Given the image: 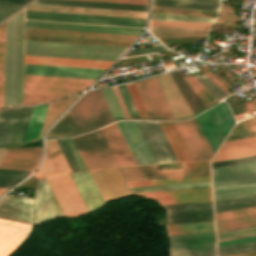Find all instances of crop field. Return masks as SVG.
I'll return each instance as SVG.
<instances>
[{
	"instance_id": "obj_70",
	"label": "crop field",
	"mask_w": 256,
	"mask_h": 256,
	"mask_svg": "<svg viewBox=\"0 0 256 256\" xmlns=\"http://www.w3.org/2000/svg\"><path fill=\"white\" fill-rule=\"evenodd\" d=\"M159 1H173V2H187V3H200V4L219 5V3H216V2H208V1H186V0H159Z\"/></svg>"
},
{
	"instance_id": "obj_81",
	"label": "crop field",
	"mask_w": 256,
	"mask_h": 256,
	"mask_svg": "<svg viewBox=\"0 0 256 256\" xmlns=\"http://www.w3.org/2000/svg\"><path fill=\"white\" fill-rule=\"evenodd\" d=\"M0 194H2V193H0Z\"/></svg>"
},
{
	"instance_id": "obj_67",
	"label": "crop field",
	"mask_w": 256,
	"mask_h": 256,
	"mask_svg": "<svg viewBox=\"0 0 256 256\" xmlns=\"http://www.w3.org/2000/svg\"><path fill=\"white\" fill-rule=\"evenodd\" d=\"M153 6L171 7V8H183V9H195V10H206V11H214V12H218V10H219V9H213V8H199V7H186V6H173V5H159V4H153Z\"/></svg>"
},
{
	"instance_id": "obj_79",
	"label": "crop field",
	"mask_w": 256,
	"mask_h": 256,
	"mask_svg": "<svg viewBox=\"0 0 256 256\" xmlns=\"http://www.w3.org/2000/svg\"><path fill=\"white\" fill-rule=\"evenodd\" d=\"M208 1H216V2H219L220 0H208Z\"/></svg>"
},
{
	"instance_id": "obj_24",
	"label": "crop field",
	"mask_w": 256,
	"mask_h": 256,
	"mask_svg": "<svg viewBox=\"0 0 256 256\" xmlns=\"http://www.w3.org/2000/svg\"><path fill=\"white\" fill-rule=\"evenodd\" d=\"M118 166L136 165L116 123L100 129Z\"/></svg>"
},
{
	"instance_id": "obj_38",
	"label": "crop field",
	"mask_w": 256,
	"mask_h": 256,
	"mask_svg": "<svg viewBox=\"0 0 256 256\" xmlns=\"http://www.w3.org/2000/svg\"><path fill=\"white\" fill-rule=\"evenodd\" d=\"M101 91L104 95V98L106 100V103L109 107V110L111 112L113 119L115 120L117 118H126L114 89L112 88V89L101 90Z\"/></svg>"
},
{
	"instance_id": "obj_58",
	"label": "crop field",
	"mask_w": 256,
	"mask_h": 256,
	"mask_svg": "<svg viewBox=\"0 0 256 256\" xmlns=\"http://www.w3.org/2000/svg\"><path fill=\"white\" fill-rule=\"evenodd\" d=\"M167 50L168 49H166L162 46L142 48V49H134V50H130L124 57L139 55V54H146V53L161 52V51H167Z\"/></svg>"
},
{
	"instance_id": "obj_50",
	"label": "crop field",
	"mask_w": 256,
	"mask_h": 256,
	"mask_svg": "<svg viewBox=\"0 0 256 256\" xmlns=\"http://www.w3.org/2000/svg\"><path fill=\"white\" fill-rule=\"evenodd\" d=\"M170 256H216L215 248L170 252Z\"/></svg>"
},
{
	"instance_id": "obj_13",
	"label": "crop field",
	"mask_w": 256,
	"mask_h": 256,
	"mask_svg": "<svg viewBox=\"0 0 256 256\" xmlns=\"http://www.w3.org/2000/svg\"><path fill=\"white\" fill-rule=\"evenodd\" d=\"M104 203L131 193L118 168L89 171Z\"/></svg>"
},
{
	"instance_id": "obj_7",
	"label": "crop field",
	"mask_w": 256,
	"mask_h": 256,
	"mask_svg": "<svg viewBox=\"0 0 256 256\" xmlns=\"http://www.w3.org/2000/svg\"><path fill=\"white\" fill-rule=\"evenodd\" d=\"M87 169L117 167L100 130L72 138Z\"/></svg>"
},
{
	"instance_id": "obj_66",
	"label": "crop field",
	"mask_w": 256,
	"mask_h": 256,
	"mask_svg": "<svg viewBox=\"0 0 256 256\" xmlns=\"http://www.w3.org/2000/svg\"><path fill=\"white\" fill-rule=\"evenodd\" d=\"M253 240H256V236L242 238V239H236V240H231V241H225V242H219V243H217V247L236 244V243H242V242H248V241H253Z\"/></svg>"
},
{
	"instance_id": "obj_28",
	"label": "crop field",
	"mask_w": 256,
	"mask_h": 256,
	"mask_svg": "<svg viewBox=\"0 0 256 256\" xmlns=\"http://www.w3.org/2000/svg\"><path fill=\"white\" fill-rule=\"evenodd\" d=\"M255 154L256 137L223 143L211 162Z\"/></svg>"
},
{
	"instance_id": "obj_8",
	"label": "crop field",
	"mask_w": 256,
	"mask_h": 256,
	"mask_svg": "<svg viewBox=\"0 0 256 256\" xmlns=\"http://www.w3.org/2000/svg\"><path fill=\"white\" fill-rule=\"evenodd\" d=\"M25 33L86 37V38H100V39H113V40H127V41H133L137 37V36H131V35H117V34H103V33H89V32L47 30V29H33V28H26ZM32 34H25V39L105 44V45H120V46H128L129 44L132 43V42H126V41H112V40L72 38V37L32 35Z\"/></svg>"
},
{
	"instance_id": "obj_32",
	"label": "crop field",
	"mask_w": 256,
	"mask_h": 256,
	"mask_svg": "<svg viewBox=\"0 0 256 256\" xmlns=\"http://www.w3.org/2000/svg\"><path fill=\"white\" fill-rule=\"evenodd\" d=\"M48 104V103H47ZM47 104L35 106L32 108L29 124L27 127L24 143L38 139L40 136ZM23 143V144H24Z\"/></svg>"
},
{
	"instance_id": "obj_51",
	"label": "crop field",
	"mask_w": 256,
	"mask_h": 256,
	"mask_svg": "<svg viewBox=\"0 0 256 256\" xmlns=\"http://www.w3.org/2000/svg\"><path fill=\"white\" fill-rule=\"evenodd\" d=\"M167 211L212 208V202L163 206Z\"/></svg>"
},
{
	"instance_id": "obj_33",
	"label": "crop field",
	"mask_w": 256,
	"mask_h": 256,
	"mask_svg": "<svg viewBox=\"0 0 256 256\" xmlns=\"http://www.w3.org/2000/svg\"><path fill=\"white\" fill-rule=\"evenodd\" d=\"M169 235L214 231L213 221L167 225Z\"/></svg>"
},
{
	"instance_id": "obj_26",
	"label": "crop field",
	"mask_w": 256,
	"mask_h": 256,
	"mask_svg": "<svg viewBox=\"0 0 256 256\" xmlns=\"http://www.w3.org/2000/svg\"><path fill=\"white\" fill-rule=\"evenodd\" d=\"M26 27L139 35L142 29L26 21Z\"/></svg>"
},
{
	"instance_id": "obj_35",
	"label": "crop field",
	"mask_w": 256,
	"mask_h": 256,
	"mask_svg": "<svg viewBox=\"0 0 256 256\" xmlns=\"http://www.w3.org/2000/svg\"><path fill=\"white\" fill-rule=\"evenodd\" d=\"M170 245L215 242L214 232L169 236Z\"/></svg>"
},
{
	"instance_id": "obj_22",
	"label": "crop field",
	"mask_w": 256,
	"mask_h": 256,
	"mask_svg": "<svg viewBox=\"0 0 256 256\" xmlns=\"http://www.w3.org/2000/svg\"><path fill=\"white\" fill-rule=\"evenodd\" d=\"M105 70L24 64V74L97 79Z\"/></svg>"
},
{
	"instance_id": "obj_6",
	"label": "crop field",
	"mask_w": 256,
	"mask_h": 256,
	"mask_svg": "<svg viewBox=\"0 0 256 256\" xmlns=\"http://www.w3.org/2000/svg\"><path fill=\"white\" fill-rule=\"evenodd\" d=\"M70 111L80 132L113 120L100 90L85 94Z\"/></svg>"
},
{
	"instance_id": "obj_1",
	"label": "crop field",
	"mask_w": 256,
	"mask_h": 256,
	"mask_svg": "<svg viewBox=\"0 0 256 256\" xmlns=\"http://www.w3.org/2000/svg\"><path fill=\"white\" fill-rule=\"evenodd\" d=\"M137 165L177 162L158 122L120 121L116 122Z\"/></svg>"
},
{
	"instance_id": "obj_56",
	"label": "crop field",
	"mask_w": 256,
	"mask_h": 256,
	"mask_svg": "<svg viewBox=\"0 0 256 256\" xmlns=\"http://www.w3.org/2000/svg\"><path fill=\"white\" fill-rule=\"evenodd\" d=\"M57 142H58V144H59V146H60V148H61V150H62V152H63V154H64V156H65V158H66V160H67V162H68V164L70 166V168H71V170L72 171H77L78 168H77V166H76V164H75V162H74V160H73V158H72V156H71V154H70V152H69V150H68L64 140L63 139H59V140H57Z\"/></svg>"
},
{
	"instance_id": "obj_16",
	"label": "crop field",
	"mask_w": 256,
	"mask_h": 256,
	"mask_svg": "<svg viewBox=\"0 0 256 256\" xmlns=\"http://www.w3.org/2000/svg\"><path fill=\"white\" fill-rule=\"evenodd\" d=\"M135 85L150 118H173L155 78Z\"/></svg>"
},
{
	"instance_id": "obj_49",
	"label": "crop field",
	"mask_w": 256,
	"mask_h": 256,
	"mask_svg": "<svg viewBox=\"0 0 256 256\" xmlns=\"http://www.w3.org/2000/svg\"><path fill=\"white\" fill-rule=\"evenodd\" d=\"M256 130V117H252L241 122L236 123L230 135L250 132Z\"/></svg>"
},
{
	"instance_id": "obj_2",
	"label": "crop field",
	"mask_w": 256,
	"mask_h": 256,
	"mask_svg": "<svg viewBox=\"0 0 256 256\" xmlns=\"http://www.w3.org/2000/svg\"><path fill=\"white\" fill-rule=\"evenodd\" d=\"M24 10L6 22L4 107L21 105Z\"/></svg>"
},
{
	"instance_id": "obj_73",
	"label": "crop field",
	"mask_w": 256,
	"mask_h": 256,
	"mask_svg": "<svg viewBox=\"0 0 256 256\" xmlns=\"http://www.w3.org/2000/svg\"><path fill=\"white\" fill-rule=\"evenodd\" d=\"M232 256H256V251H254V252H249V253H243V254L232 255Z\"/></svg>"
},
{
	"instance_id": "obj_30",
	"label": "crop field",
	"mask_w": 256,
	"mask_h": 256,
	"mask_svg": "<svg viewBox=\"0 0 256 256\" xmlns=\"http://www.w3.org/2000/svg\"><path fill=\"white\" fill-rule=\"evenodd\" d=\"M178 162L192 161L184 143L182 142L173 122H159Z\"/></svg>"
},
{
	"instance_id": "obj_45",
	"label": "crop field",
	"mask_w": 256,
	"mask_h": 256,
	"mask_svg": "<svg viewBox=\"0 0 256 256\" xmlns=\"http://www.w3.org/2000/svg\"><path fill=\"white\" fill-rule=\"evenodd\" d=\"M195 77L215 97L217 101L227 96L226 93H224L219 87H217L212 81H210L204 75H196Z\"/></svg>"
},
{
	"instance_id": "obj_31",
	"label": "crop field",
	"mask_w": 256,
	"mask_h": 256,
	"mask_svg": "<svg viewBox=\"0 0 256 256\" xmlns=\"http://www.w3.org/2000/svg\"><path fill=\"white\" fill-rule=\"evenodd\" d=\"M33 3L146 11L147 6L73 0H36Z\"/></svg>"
},
{
	"instance_id": "obj_71",
	"label": "crop field",
	"mask_w": 256,
	"mask_h": 256,
	"mask_svg": "<svg viewBox=\"0 0 256 256\" xmlns=\"http://www.w3.org/2000/svg\"><path fill=\"white\" fill-rule=\"evenodd\" d=\"M185 168L209 166V162L184 163Z\"/></svg>"
},
{
	"instance_id": "obj_69",
	"label": "crop field",
	"mask_w": 256,
	"mask_h": 256,
	"mask_svg": "<svg viewBox=\"0 0 256 256\" xmlns=\"http://www.w3.org/2000/svg\"><path fill=\"white\" fill-rule=\"evenodd\" d=\"M256 136V132L254 133H248V134H242V135H236V136H230L227 137L226 141H232V140H237V139H243V138H248V137H254Z\"/></svg>"
},
{
	"instance_id": "obj_37",
	"label": "crop field",
	"mask_w": 256,
	"mask_h": 256,
	"mask_svg": "<svg viewBox=\"0 0 256 256\" xmlns=\"http://www.w3.org/2000/svg\"><path fill=\"white\" fill-rule=\"evenodd\" d=\"M255 224H256V214L242 216V217H236V218H230V219H224V220H218V221H216V231L237 228V227H243V226H249V225H255Z\"/></svg>"
},
{
	"instance_id": "obj_62",
	"label": "crop field",
	"mask_w": 256,
	"mask_h": 256,
	"mask_svg": "<svg viewBox=\"0 0 256 256\" xmlns=\"http://www.w3.org/2000/svg\"><path fill=\"white\" fill-rule=\"evenodd\" d=\"M20 6H22V5L14 4V3L1 2L0 1V12L1 13L11 14L16 9H18Z\"/></svg>"
},
{
	"instance_id": "obj_60",
	"label": "crop field",
	"mask_w": 256,
	"mask_h": 256,
	"mask_svg": "<svg viewBox=\"0 0 256 256\" xmlns=\"http://www.w3.org/2000/svg\"><path fill=\"white\" fill-rule=\"evenodd\" d=\"M215 247V243L170 246V251Z\"/></svg>"
},
{
	"instance_id": "obj_9",
	"label": "crop field",
	"mask_w": 256,
	"mask_h": 256,
	"mask_svg": "<svg viewBox=\"0 0 256 256\" xmlns=\"http://www.w3.org/2000/svg\"><path fill=\"white\" fill-rule=\"evenodd\" d=\"M215 107L230 131L235 122L225 102ZM215 107L195 117L213 154L229 132Z\"/></svg>"
},
{
	"instance_id": "obj_40",
	"label": "crop field",
	"mask_w": 256,
	"mask_h": 256,
	"mask_svg": "<svg viewBox=\"0 0 256 256\" xmlns=\"http://www.w3.org/2000/svg\"><path fill=\"white\" fill-rule=\"evenodd\" d=\"M31 172L0 169V187L10 188Z\"/></svg>"
},
{
	"instance_id": "obj_3",
	"label": "crop field",
	"mask_w": 256,
	"mask_h": 256,
	"mask_svg": "<svg viewBox=\"0 0 256 256\" xmlns=\"http://www.w3.org/2000/svg\"><path fill=\"white\" fill-rule=\"evenodd\" d=\"M125 48L120 46L25 40V55L32 56L115 61Z\"/></svg>"
},
{
	"instance_id": "obj_17",
	"label": "crop field",
	"mask_w": 256,
	"mask_h": 256,
	"mask_svg": "<svg viewBox=\"0 0 256 256\" xmlns=\"http://www.w3.org/2000/svg\"><path fill=\"white\" fill-rule=\"evenodd\" d=\"M26 10L145 19L146 12L31 4Z\"/></svg>"
},
{
	"instance_id": "obj_14",
	"label": "crop field",
	"mask_w": 256,
	"mask_h": 256,
	"mask_svg": "<svg viewBox=\"0 0 256 256\" xmlns=\"http://www.w3.org/2000/svg\"><path fill=\"white\" fill-rule=\"evenodd\" d=\"M26 19L144 27L145 20L26 11Z\"/></svg>"
},
{
	"instance_id": "obj_52",
	"label": "crop field",
	"mask_w": 256,
	"mask_h": 256,
	"mask_svg": "<svg viewBox=\"0 0 256 256\" xmlns=\"http://www.w3.org/2000/svg\"><path fill=\"white\" fill-rule=\"evenodd\" d=\"M212 23L151 21L150 26H192L210 27Z\"/></svg>"
},
{
	"instance_id": "obj_54",
	"label": "crop field",
	"mask_w": 256,
	"mask_h": 256,
	"mask_svg": "<svg viewBox=\"0 0 256 256\" xmlns=\"http://www.w3.org/2000/svg\"><path fill=\"white\" fill-rule=\"evenodd\" d=\"M253 201H256V195L217 201V202H214V205H215V208H217V207H223V206H229V205H235V204H241V203H247V202H253Z\"/></svg>"
},
{
	"instance_id": "obj_63",
	"label": "crop field",
	"mask_w": 256,
	"mask_h": 256,
	"mask_svg": "<svg viewBox=\"0 0 256 256\" xmlns=\"http://www.w3.org/2000/svg\"><path fill=\"white\" fill-rule=\"evenodd\" d=\"M212 213V209L168 212L167 216Z\"/></svg>"
},
{
	"instance_id": "obj_74",
	"label": "crop field",
	"mask_w": 256,
	"mask_h": 256,
	"mask_svg": "<svg viewBox=\"0 0 256 256\" xmlns=\"http://www.w3.org/2000/svg\"><path fill=\"white\" fill-rule=\"evenodd\" d=\"M1 1H7V2H14V3L24 4V3H26L28 0H1Z\"/></svg>"
},
{
	"instance_id": "obj_21",
	"label": "crop field",
	"mask_w": 256,
	"mask_h": 256,
	"mask_svg": "<svg viewBox=\"0 0 256 256\" xmlns=\"http://www.w3.org/2000/svg\"><path fill=\"white\" fill-rule=\"evenodd\" d=\"M41 158V147L6 150L0 168L34 171Z\"/></svg>"
},
{
	"instance_id": "obj_77",
	"label": "crop field",
	"mask_w": 256,
	"mask_h": 256,
	"mask_svg": "<svg viewBox=\"0 0 256 256\" xmlns=\"http://www.w3.org/2000/svg\"><path fill=\"white\" fill-rule=\"evenodd\" d=\"M4 151H5V149H0V160L2 158V155H3Z\"/></svg>"
},
{
	"instance_id": "obj_72",
	"label": "crop field",
	"mask_w": 256,
	"mask_h": 256,
	"mask_svg": "<svg viewBox=\"0 0 256 256\" xmlns=\"http://www.w3.org/2000/svg\"><path fill=\"white\" fill-rule=\"evenodd\" d=\"M114 89H115V91H116V93H117V96H118V98H119V101H120V103H121V105H122V108H123V110H124V113H125L126 117H127V118H130L129 115H128V113H127V111H126V109H125V106H124V104H123V102H122V100H121V97H120V95H119L117 89H116V88H114Z\"/></svg>"
},
{
	"instance_id": "obj_23",
	"label": "crop field",
	"mask_w": 256,
	"mask_h": 256,
	"mask_svg": "<svg viewBox=\"0 0 256 256\" xmlns=\"http://www.w3.org/2000/svg\"><path fill=\"white\" fill-rule=\"evenodd\" d=\"M32 226L0 219V256H9Z\"/></svg>"
},
{
	"instance_id": "obj_65",
	"label": "crop field",
	"mask_w": 256,
	"mask_h": 256,
	"mask_svg": "<svg viewBox=\"0 0 256 256\" xmlns=\"http://www.w3.org/2000/svg\"><path fill=\"white\" fill-rule=\"evenodd\" d=\"M251 206H256V202L241 204V205H235V206H229V207H223V208H217V209H215V213L234 210V209H240V208H246V207H251Z\"/></svg>"
},
{
	"instance_id": "obj_47",
	"label": "crop field",
	"mask_w": 256,
	"mask_h": 256,
	"mask_svg": "<svg viewBox=\"0 0 256 256\" xmlns=\"http://www.w3.org/2000/svg\"><path fill=\"white\" fill-rule=\"evenodd\" d=\"M231 111L234 115L252 110L255 108V101L254 99L246 101L245 99L241 98L235 102L228 104Z\"/></svg>"
},
{
	"instance_id": "obj_53",
	"label": "crop field",
	"mask_w": 256,
	"mask_h": 256,
	"mask_svg": "<svg viewBox=\"0 0 256 256\" xmlns=\"http://www.w3.org/2000/svg\"><path fill=\"white\" fill-rule=\"evenodd\" d=\"M254 213H256V207L217 213L215 214V217H216V220H218V219H224V218H230V217H236V216H242V215H248V214H254Z\"/></svg>"
},
{
	"instance_id": "obj_34",
	"label": "crop field",
	"mask_w": 256,
	"mask_h": 256,
	"mask_svg": "<svg viewBox=\"0 0 256 256\" xmlns=\"http://www.w3.org/2000/svg\"><path fill=\"white\" fill-rule=\"evenodd\" d=\"M76 124L72 118L70 111H68L60 121L50 130L46 138L57 137L64 135H73L78 133Z\"/></svg>"
},
{
	"instance_id": "obj_39",
	"label": "crop field",
	"mask_w": 256,
	"mask_h": 256,
	"mask_svg": "<svg viewBox=\"0 0 256 256\" xmlns=\"http://www.w3.org/2000/svg\"><path fill=\"white\" fill-rule=\"evenodd\" d=\"M204 181H210V176L181 178V179H169V180H157V181H145V182H133V183H128V184L130 187H136V186H150V185L177 184V183L204 182Z\"/></svg>"
},
{
	"instance_id": "obj_29",
	"label": "crop field",
	"mask_w": 256,
	"mask_h": 256,
	"mask_svg": "<svg viewBox=\"0 0 256 256\" xmlns=\"http://www.w3.org/2000/svg\"><path fill=\"white\" fill-rule=\"evenodd\" d=\"M24 63L107 69L113 62L25 56Z\"/></svg>"
},
{
	"instance_id": "obj_27",
	"label": "crop field",
	"mask_w": 256,
	"mask_h": 256,
	"mask_svg": "<svg viewBox=\"0 0 256 256\" xmlns=\"http://www.w3.org/2000/svg\"><path fill=\"white\" fill-rule=\"evenodd\" d=\"M70 176L88 211L97 209L104 204L88 171L72 173Z\"/></svg>"
},
{
	"instance_id": "obj_46",
	"label": "crop field",
	"mask_w": 256,
	"mask_h": 256,
	"mask_svg": "<svg viewBox=\"0 0 256 256\" xmlns=\"http://www.w3.org/2000/svg\"><path fill=\"white\" fill-rule=\"evenodd\" d=\"M213 220L212 214L167 217V224Z\"/></svg>"
},
{
	"instance_id": "obj_36",
	"label": "crop field",
	"mask_w": 256,
	"mask_h": 256,
	"mask_svg": "<svg viewBox=\"0 0 256 256\" xmlns=\"http://www.w3.org/2000/svg\"><path fill=\"white\" fill-rule=\"evenodd\" d=\"M211 187L210 182L130 188L132 193Z\"/></svg>"
},
{
	"instance_id": "obj_12",
	"label": "crop field",
	"mask_w": 256,
	"mask_h": 256,
	"mask_svg": "<svg viewBox=\"0 0 256 256\" xmlns=\"http://www.w3.org/2000/svg\"><path fill=\"white\" fill-rule=\"evenodd\" d=\"M127 182L205 176L209 167L156 171L155 165L121 168Z\"/></svg>"
},
{
	"instance_id": "obj_20",
	"label": "crop field",
	"mask_w": 256,
	"mask_h": 256,
	"mask_svg": "<svg viewBox=\"0 0 256 256\" xmlns=\"http://www.w3.org/2000/svg\"><path fill=\"white\" fill-rule=\"evenodd\" d=\"M0 218L33 224L32 199L4 196L0 199Z\"/></svg>"
},
{
	"instance_id": "obj_61",
	"label": "crop field",
	"mask_w": 256,
	"mask_h": 256,
	"mask_svg": "<svg viewBox=\"0 0 256 256\" xmlns=\"http://www.w3.org/2000/svg\"><path fill=\"white\" fill-rule=\"evenodd\" d=\"M250 233H256V228H250V229H244V230H239V231L221 233V234H219V239L227 238V237H233V236H239V235H244V234H250Z\"/></svg>"
},
{
	"instance_id": "obj_15",
	"label": "crop field",
	"mask_w": 256,
	"mask_h": 256,
	"mask_svg": "<svg viewBox=\"0 0 256 256\" xmlns=\"http://www.w3.org/2000/svg\"><path fill=\"white\" fill-rule=\"evenodd\" d=\"M193 161L210 160L212 152L195 120V118L174 122Z\"/></svg>"
},
{
	"instance_id": "obj_42",
	"label": "crop field",
	"mask_w": 256,
	"mask_h": 256,
	"mask_svg": "<svg viewBox=\"0 0 256 256\" xmlns=\"http://www.w3.org/2000/svg\"><path fill=\"white\" fill-rule=\"evenodd\" d=\"M256 250V241L236 244L231 246L217 248L218 256H226L237 253L249 252Z\"/></svg>"
},
{
	"instance_id": "obj_76",
	"label": "crop field",
	"mask_w": 256,
	"mask_h": 256,
	"mask_svg": "<svg viewBox=\"0 0 256 256\" xmlns=\"http://www.w3.org/2000/svg\"><path fill=\"white\" fill-rule=\"evenodd\" d=\"M8 15L7 14H1L0 13V21L3 20L4 18H6Z\"/></svg>"
},
{
	"instance_id": "obj_18",
	"label": "crop field",
	"mask_w": 256,
	"mask_h": 256,
	"mask_svg": "<svg viewBox=\"0 0 256 256\" xmlns=\"http://www.w3.org/2000/svg\"><path fill=\"white\" fill-rule=\"evenodd\" d=\"M34 211L35 223L64 214H62L45 178L38 179L34 196Z\"/></svg>"
},
{
	"instance_id": "obj_10",
	"label": "crop field",
	"mask_w": 256,
	"mask_h": 256,
	"mask_svg": "<svg viewBox=\"0 0 256 256\" xmlns=\"http://www.w3.org/2000/svg\"><path fill=\"white\" fill-rule=\"evenodd\" d=\"M46 180L65 216L87 212L69 174L47 177Z\"/></svg>"
},
{
	"instance_id": "obj_44",
	"label": "crop field",
	"mask_w": 256,
	"mask_h": 256,
	"mask_svg": "<svg viewBox=\"0 0 256 256\" xmlns=\"http://www.w3.org/2000/svg\"><path fill=\"white\" fill-rule=\"evenodd\" d=\"M5 24L0 27V107H3Z\"/></svg>"
},
{
	"instance_id": "obj_25",
	"label": "crop field",
	"mask_w": 256,
	"mask_h": 256,
	"mask_svg": "<svg viewBox=\"0 0 256 256\" xmlns=\"http://www.w3.org/2000/svg\"><path fill=\"white\" fill-rule=\"evenodd\" d=\"M66 172H70V169L56 141H46L44 162L34 176L42 178Z\"/></svg>"
},
{
	"instance_id": "obj_64",
	"label": "crop field",
	"mask_w": 256,
	"mask_h": 256,
	"mask_svg": "<svg viewBox=\"0 0 256 256\" xmlns=\"http://www.w3.org/2000/svg\"><path fill=\"white\" fill-rule=\"evenodd\" d=\"M87 1H100V2H114V3L147 5V0H87Z\"/></svg>"
},
{
	"instance_id": "obj_5",
	"label": "crop field",
	"mask_w": 256,
	"mask_h": 256,
	"mask_svg": "<svg viewBox=\"0 0 256 256\" xmlns=\"http://www.w3.org/2000/svg\"><path fill=\"white\" fill-rule=\"evenodd\" d=\"M95 80L24 75L23 93L67 96L84 91ZM23 94V105L41 103L58 96Z\"/></svg>"
},
{
	"instance_id": "obj_4",
	"label": "crop field",
	"mask_w": 256,
	"mask_h": 256,
	"mask_svg": "<svg viewBox=\"0 0 256 256\" xmlns=\"http://www.w3.org/2000/svg\"><path fill=\"white\" fill-rule=\"evenodd\" d=\"M214 201L256 194V161L212 169Z\"/></svg>"
},
{
	"instance_id": "obj_43",
	"label": "crop field",
	"mask_w": 256,
	"mask_h": 256,
	"mask_svg": "<svg viewBox=\"0 0 256 256\" xmlns=\"http://www.w3.org/2000/svg\"><path fill=\"white\" fill-rule=\"evenodd\" d=\"M184 79L207 106L217 102L213 96L193 76L185 77Z\"/></svg>"
},
{
	"instance_id": "obj_48",
	"label": "crop field",
	"mask_w": 256,
	"mask_h": 256,
	"mask_svg": "<svg viewBox=\"0 0 256 256\" xmlns=\"http://www.w3.org/2000/svg\"><path fill=\"white\" fill-rule=\"evenodd\" d=\"M140 118H149L134 84L126 86Z\"/></svg>"
},
{
	"instance_id": "obj_75",
	"label": "crop field",
	"mask_w": 256,
	"mask_h": 256,
	"mask_svg": "<svg viewBox=\"0 0 256 256\" xmlns=\"http://www.w3.org/2000/svg\"><path fill=\"white\" fill-rule=\"evenodd\" d=\"M201 13H203V14H209V15H214V16H216V15H217V13H214V12H206V11H202Z\"/></svg>"
},
{
	"instance_id": "obj_59",
	"label": "crop field",
	"mask_w": 256,
	"mask_h": 256,
	"mask_svg": "<svg viewBox=\"0 0 256 256\" xmlns=\"http://www.w3.org/2000/svg\"><path fill=\"white\" fill-rule=\"evenodd\" d=\"M65 141H66V143H67V145H68V147H69V149H70V151H71V153H72V155H73V157H74V159H75L79 169L80 170L86 169V167H85V165H84L80 155L78 154V152H77V150H76V148H75L71 138L65 139Z\"/></svg>"
},
{
	"instance_id": "obj_80",
	"label": "crop field",
	"mask_w": 256,
	"mask_h": 256,
	"mask_svg": "<svg viewBox=\"0 0 256 256\" xmlns=\"http://www.w3.org/2000/svg\"><path fill=\"white\" fill-rule=\"evenodd\" d=\"M250 235H252V234H250ZM244 236H246V235H244ZM240 237V236H239ZM234 238V237H233ZM228 239V238H227ZM222 240V239H221Z\"/></svg>"
},
{
	"instance_id": "obj_57",
	"label": "crop field",
	"mask_w": 256,
	"mask_h": 256,
	"mask_svg": "<svg viewBox=\"0 0 256 256\" xmlns=\"http://www.w3.org/2000/svg\"><path fill=\"white\" fill-rule=\"evenodd\" d=\"M254 160H256V156H250V157H244V158L214 162V163H211V167L214 168V167L226 166V165L237 164V163L248 162V161H254Z\"/></svg>"
},
{
	"instance_id": "obj_19",
	"label": "crop field",
	"mask_w": 256,
	"mask_h": 256,
	"mask_svg": "<svg viewBox=\"0 0 256 256\" xmlns=\"http://www.w3.org/2000/svg\"><path fill=\"white\" fill-rule=\"evenodd\" d=\"M156 199L161 205L212 201L211 188L139 193Z\"/></svg>"
},
{
	"instance_id": "obj_78",
	"label": "crop field",
	"mask_w": 256,
	"mask_h": 256,
	"mask_svg": "<svg viewBox=\"0 0 256 256\" xmlns=\"http://www.w3.org/2000/svg\"><path fill=\"white\" fill-rule=\"evenodd\" d=\"M7 189H4V188H0V192H4L6 191Z\"/></svg>"
},
{
	"instance_id": "obj_41",
	"label": "crop field",
	"mask_w": 256,
	"mask_h": 256,
	"mask_svg": "<svg viewBox=\"0 0 256 256\" xmlns=\"http://www.w3.org/2000/svg\"><path fill=\"white\" fill-rule=\"evenodd\" d=\"M151 20L213 22V18L191 15L152 13Z\"/></svg>"
},
{
	"instance_id": "obj_55",
	"label": "crop field",
	"mask_w": 256,
	"mask_h": 256,
	"mask_svg": "<svg viewBox=\"0 0 256 256\" xmlns=\"http://www.w3.org/2000/svg\"><path fill=\"white\" fill-rule=\"evenodd\" d=\"M130 115H137L125 86L117 88Z\"/></svg>"
},
{
	"instance_id": "obj_11",
	"label": "crop field",
	"mask_w": 256,
	"mask_h": 256,
	"mask_svg": "<svg viewBox=\"0 0 256 256\" xmlns=\"http://www.w3.org/2000/svg\"><path fill=\"white\" fill-rule=\"evenodd\" d=\"M31 108L0 110V146L22 144Z\"/></svg>"
},
{
	"instance_id": "obj_68",
	"label": "crop field",
	"mask_w": 256,
	"mask_h": 256,
	"mask_svg": "<svg viewBox=\"0 0 256 256\" xmlns=\"http://www.w3.org/2000/svg\"><path fill=\"white\" fill-rule=\"evenodd\" d=\"M153 3L219 8V6H213V5H200V4H187V3L159 2V1H153Z\"/></svg>"
}]
</instances>
